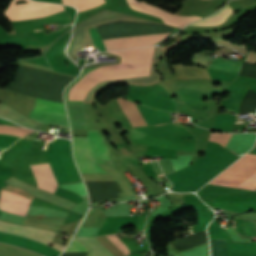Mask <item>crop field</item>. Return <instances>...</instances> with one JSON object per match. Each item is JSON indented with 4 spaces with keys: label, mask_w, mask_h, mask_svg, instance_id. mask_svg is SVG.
<instances>
[{
    "label": "crop field",
    "mask_w": 256,
    "mask_h": 256,
    "mask_svg": "<svg viewBox=\"0 0 256 256\" xmlns=\"http://www.w3.org/2000/svg\"><path fill=\"white\" fill-rule=\"evenodd\" d=\"M111 242L117 247L119 248L122 253L126 256L129 254V250L128 248L116 237L115 234H111V236H107Z\"/></svg>",
    "instance_id": "crop-field-20"
},
{
    "label": "crop field",
    "mask_w": 256,
    "mask_h": 256,
    "mask_svg": "<svg viewBox=\"0 0 256 256\" xmlns=\"http://www.w3.org/2000/svg\"><path fill=\"white\" fill-rule=\"evenodd\" d=\"M233 11L231 8L226 4L221 10H219L214 15L205 18L203 20H200L198 22H194L190 25L193 26H216L224 23L228 17L231 15Z\"/></svg>",
    "instance_id": "crop-field-15"
},
{
    "label": "crop field",
    "mask_w": 256,
    "mask_h": 256,
    "mask_svg": "<svg viewBox=\"0 0 256 256\" xmlns=\"http://www.w3.org/2000/svg\"><path fill=\"white\" fill-rule=\"evenodd\" d=\"M154 49L155 47H148L113 51L125 53L127 64L102 68L86 74L71 88L69 100H82L90 87L103 79L148 75Z\"/></svg>",
    "instance_id": "crop-field-1"
},
{
    "label": "crop field",
    "mask_w": 256,
    "mask_h": 256,
    "mask_svg": "<svg viewBox=\"0 0 256 256\" xmlns=\"http://www.w3.org/2000/svg\"><path fill=\"white\" fill-rule=\"evenodd\" d=\"M58 143L59 141L53 144V152L47 153V156L50 161L51 169L57 179L58 185H61V184L69 183L70 181L61 164Z\"/></svg>",
    "instance_id": "crop-field-12"
},
{
    "label": "crop field",
    "mask_w": 256,
    "mask_h": 256,
    "mask_svg": "<svg viewBox=\"0 0 256 256\" xmlns=\"http://www.w3.org/2000/svg\"><path fill=\"white\" fill-rule=\"evenodd\" d=\"M87 140L98 173H106L96 162L110 163L108 149L98 131L88 130ZM86 137H73L74 158L81 173H97L88 152Z\"/></svg>",
    "instance_id": "crop-field-5"
},
{
    "label": "crop field",
    "mask_w": 256,
    "mask_h": 256,
    "mask_svg": "<svg viewBox=\"0 0 256 256\" xmlns=\"http://www.w3.org/2000/svg\"><path fill=\"white\" fill-rule=\"evenodd\" d=\"M82 241L89 250L87 256H114L95 238L76 237Z\"/></svg>",
    "instance_id": "crop-field-16"
},
{
    "label": "crop field",
    "mask_w": 256,
    "mask_h": 256,
    "mask_svg": "<svg viewBox=\"0 0 256 256\" xmlns=\"http://www.w3.org/2000/svg\"><path fill=\"white\" fill-rule=\"evenodd\" d=\"M155 163H157V162H153V163H151V164H155Z\"/></svg>",
    "instance_id": "crop-field-23"
},
{
    "label": "crop field",
    "mask_w": 256,
    "mask_h": 256,
    "mask_svg": "<svg viewBox=\"0 0 256 256\" xmlns=\"http://www.w3.org/2000/svg\"><path fill=\"white\" fill-rule=\"evenodd\" d=\"M163 125V124H162ZM143 132L137 131V130H132L130 134V138L138 144H144V145H151V146H159V147H165V148H170L174 150H186V151H194V147H185V146H175V145H169V144H163L159 142H164V143H170V144H176V145H186V146H195L196 143H178V142H172V141H166L162 139L155 138L149 134L144 133L143 136L148 137L152 140L159 141L155 142L150 139H147L143 136H141Z\"/></svg>",
    "instance_id": "crop-field-10"
},
{
    "label": "crop field",
    "mask_w": 256,
    "mask_h": 256,
    "mask_svg": "<svg viewBox=\"0 0 256 256\" xmlns=\"http://www.w3.org/2000/svg\"><path fill=\"white\" fill-rule=\"evenodd\" d=\"M240 65L241 63L230 62L220 57H216L215 59H213L211 65L208 66V68H214V69L238 73L240 69ZM208 68L207 70L212 79L231 82L237 76L236 73H230V72L219 71V70L208 69Z\"/></svg>",
    "instance_id": "crop-field-9"
},
{
    "label": "crop field",
    "mask_w": 256,
    "mask_h": 256,
    "mask_svg": "<svg viewBox=\"0 0 256 256\" xmlns=\"http://www.w3.org/2000/svg\"><path fill=\"white\" fill-rule=\"evenodd\" d=\"M103 36H122L170 32L174 28L162 25L118 22L101 26ZM168 33L104 38L109 50L153 45Z\"/></svg>",
    "instance_id": "crop-field-3"
},
{
    "label": "crop field",
    "mask_w": 256,
    "mask_h": 256,
    "mask_svg": "<svg viewBox=\"0 0 256 256\" xmlns=\"http://www.w3.org/2000/svg\"><path fill=\"white\" fill-rule=\"evenodd\" d=\"M116 100L131 122L132 126L145 125L135 103L123 100L121 98H116Z\"/></svg>",
    "instance_id": "crop-field-14"
},
{
    "label": "crop field",
    "mask_w": 256,
    "mask_h": 256,
    "mask_svg": "<svg viewBox=\"0 0 256 256\" xmlns=\"http://www.w3.org/2000/svg\"><path fill=\"white\" fill-rule=\"evenodd\" d=\"M40 30H42V29H38V30H36V31H40Z\"/></svg>",
    "instance_id": "crop-field-24"
},
{
    "label": "crop field",
    "mask_w": 256,
    "mask_h": 256,
    "mask_svg": "<svg viewBox=\"0 0 256 256\" xmlns=\"http://www.w3.org/2000/svg\"><path fill=\"white\" fill-rule=\"evenodd\" d=\"M63 4L74 5L78 11L86 10L95 7L103 2L104 0H62Z\"/></svg>",
    "instance_id": "crop-field-17"
},
{
    "label": "crop field",
    "mask_w": 256,
    "mask_h": 256,
    "mask_svg": "<svg viewBox=\"0 0 256 256\" xmlns=\"http://www.w3.org/2000/svg\"><path fill=\"white\" fill-rule=\"evenodd\" d=\"M41 124L57 125L69 128L64 103L36 99V103L28 115Z\"/></svg>",
    "instance_id": "crop-field-7"
},
{
    "label": "crop field",
    "mask_w": 256,
    "mask_h": 256,
    "mask_svg": "<svg viewBox=\"0 0 256 256\" xmlns=\"http://www.w3.org/2000/svg\"><path fill=\"white\" fill-rule=\"evenodd\" d=\"M128 5L130 8L136 11L158 16L163 20L164 23L178 27H181L185 24H189L197 19H200L199 16H175L145 1L139 3L136 0H128Z\"/></svg>",
    "instance_id": "crop-field-8"
},
{
    "label": "crop field",
    "mask_w": 256,
    "mask_h": 256,
    "mask_svg": "<svg viewBox=\"0 0 256 256\" xmlns=\"http://www.w3.org/2000/svg\"><path fill=\"white\" fill-rule=\"evenodd\" d=\"M71 129H88L83 104H66Z\"/></svg>",
    "instance_id": "crop-field-13"
},
{
    "label": "crop field",
    "mask_w": 256,
    "mask_h": 256,
    "mask_svg": "<svg viewBox=\"0 0 256 256\" xmlns=\"http://www.w3.org/2000/svg\"><path fill=\"white\" fill-rule=\"evenodd\" d=\"M226 171L256 175V155L246 154ZM227 172L221 173L209 183L256 190V176Z\"/></svg>",
    "instance_id": "crop-field-6"
},
{
    "label": "crop field",
    "mask_w": 256,
    "mask_h": 256,
    "mask_svg": "<svg viewBox=\"0 0 256 256\" xmlns=\"http://www.w3.org/2000/svg\"><path fill=\"white\" fill-rule=\"evenodd\" d=\"M64 252H88L86 247L83 246L75 237L69 247Z\"/></svg>",
    "instance_id": "crop-field-19"
},
{
    "label": "crop field",
    "mask_w": 256,
    "mask_h": 256,
    "mask_svg": "<svg viewBox=\"0 0 256 256\" xmlns=\"http://www.w3.org/2000/svg\"><path fill=\"white\" fill-rule=\"evenodd\" d=\"M207 61H208L207 58L196 54L192 64L201 65L205 67Z\"/></svg>",
    "instance_id": "crop-field-21"
},
{
    "label": "crop field",
    "mask_w": 256,
    "mask_h": 256,
    "mask_svg": "<svg viewBox=\"0 0 256 256\" xmlns=\"http://www.w3.org/2000/svg\"><path fill=\"white\" fill-rule=\"evenodd\" d=\"M72 77L19 66L18 75L7 90L52 101H63L62 93Z\"/></svg>",
    "instance_id": "crop-field-2"
},
{
    "label": "crop field",
    "mask_w": 256,
    "mask_h": 256,
    "mask_svg": "<svg viewBox=\"0 0 256 256\" xmlns=\"http://www.w3.org/2000/svg\"><path fill=\"white\" fill-rule=\"evenodd\" d=\"M211 134L219 135L220 133H215V132H212Z\"/></svg>",
    "instance_id": "crop-field-22"
},
{
    "label": "crop field",
    "mask_w": 256,
    "mask_h": 256,
    "mask_svg": "<svg viewBox=\"0 0 256 256\" xmlns=\"http://www.w3.org/2000/svg\"><path fill=\"white\" fill-rule=\"evenodd\" d=\"M38 188L54 193L57 188L56 180L52 174L49 163L30 166Z\"/></svg>",
    "instance_id": "crop-field-11"
},
{
    "label": "crop field",
    "mask_w": 256,
    "mask_h": 256,
    "mask_svg": "<svg viewBox=\"0 0 256 256\" xmlns=\"http://www.w3.org/2000/svg\"><path fill=\"white\" fill-rule=\"evenodd\" d=\"M211 256H227L226 239L210 240ZM256 256V255H253Z\"/></svg>",
    "instance_id": "crop-field-18"
},
{
    "label": "crop field",
    "mask_w": 256,
    "mask_h": 256,
    "mask_svg": "<svg viewBox=\"0 0 256 256\" xmlns=\"http://www.w3.org/2000/svg\"><path fill=\"white\" fill-rule=\"evenodd\" d=\"M0 231L10 234H15L23 237H28L36 240H41L51 243L55 236L56 232L47 231L43 229H38L29 226H19L11 223L1 222L0 221ZM0 232V242L20 246L38 253H41L45 256H58L62 250L65 248L63 246L49 244L41 241H36L28 238H23L19 236H14L6 233Z\"/></svg>",
    "instance_id": "crop-field-4"
}]
</instances>
